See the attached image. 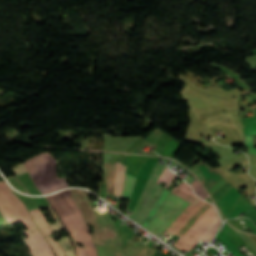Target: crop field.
Returning a JSON list of instances; mask_svg holds the SVG:
<instances>
[{"label": "crop field", "instance_id": "1", "mask_svg": "<svg viewBox=\"0 0 256 256\" xmlns=\"http://www.w3.org/2000/svg\"><path fill=\"white\" fill-rule=\"evenodd\" d=\"M171 192L191 202L182 214L167 229L181 238L174 244L182 250H191L204 233L219 218L213 205L197 198L187 183H182ZM221 225L220 219L205 233L201 240L210 242Z\"/></svg>", "mask_w": 256, "mask_h": 256}, {"label": "crop field", "instance_id": "2", "mask_svg": "<svg viewBox=\"0 0 256 256\" xmlns=\"http://www.w3.org/2000/svg\"><path fill=\"white\" fill-rule=\"evenodd\" d=\"M0 210L11 224L22 222L28 230L36 228L26 206L4 182H0ZM25 232L34 256H54L38 228Z\"/></svg>", "mask_w": 256, "mask_h": 256}, {"label": "crop field", "instance_id": "3", "mask_svg": "<svg viewBox=\"0 0 256 256\" xmlns=\"http://www.w3.org/2000/svg\"><path fill=\"white\" fill-rule=\"evenodd\" d=\"M47 199L58 215L80 209L78 204L73 199L70 190H65L55 195L47 196ZM60 218L73 239L90 235L88 226L85 223L80 210L60 215Z\"/></svg>", "mask_w": 256, "mask_h": 256}, {"label": "crop field", "instance_id": "4", "mask_svg": "<svg viewBox=\"0 0 256 256\" xmlns=\"http://www.w3.org/2000/svg\"><path fill=\"white\" fill-rule=\"evenodd\" d=\"M24 164L42 194L68 187L65 179L56 177V164L48 153L29 159Z\"/></svg>", "mask_w": 256, "mask_h": 256}, {"label": "crop field", "instance_id": "5", "mask_svg": "<svg viewBox=\"0 0 256 256\" xmlns=\"http://www.w3.org/2000/svg\"><path fill=\"white\" fill-rule=\"evenodd\" d=\"M178 197L170 192L159 211L147 226V229L156 234L158 237L189 205L188 202L180 199L181 197Z\"/></svg>", "mask_w": 256, "mask_h": 256}, {"label": "crop field", "instance_id": "6", "mask_svg": "<svg viewBox=\"0 0 256 256\" xmlns=\"http://www.w3.org/2000/svg\"><path fill=\"white\" fill-rule=\"evenodd\" d=\"M165 165L160 166L156 165L139 201L138 204L131 216V219L135 220L140 225L142 224L145 216L149 212L157 194L161 190L162 187L156 185V181L165 169Z\"/></svg>", "mask_w": 256, "mask_h": 256}, {"label": "crop field", "instance_id": "7", "mask_svg": "<svg viewBox=\"0 0 256 256\" xmlns=\"http://www.w3.org/2000/svg\"><path fill=\"white\" fill-rule=\"evenodd\" d=\"M30 213H31L33 219L35 220V222L37 223L39 229L41 230L43 236L51 235V234H52V231H51V229H50V227H49V225H48L46 219L44 218V216H43L41 210L32 211V212H30ZM41 223H44V224H45V226L48 228V230L50 231L51 234H47V233H49V231L46 229V227H45L44 224H43L44 228H45L46 231H47V233H46V231H45V229L43 228V226H42ZM46 239H47L48 242L51 244V246H52V248L54 249V251L56 252L57 256H64V254H63L61 248L59 247L58 243L55 242L51 236L46 237Z\"/></svg>", "mask_w": 256, "mask_h": 256}, {"label": "crop field", "instance_id": "8", "mask_svg": "<svg viewBox=\"0 0 256 256\" xmlns=\"http://www.w3.org/2000/svg\"><path fill=\"white\" fill-rule=\"evenodd\" d=\"M125 168L126 166L116 161L115 168V196L120 198L121 190L125 178Z\"/></svg>", "mask_w": 256, "mask_h": 256}, {"label": "crop field", "instance_id": "9", "mask_svg": "<svg viewBox=\"0 0 256 256\" xmlns=\"http://www.w3.org/2000/svg\"><path fill=\"white\" fill-rule=\"evenodd\" d=\"M169 194V191L165 190L162 188L159 196L157 197L151 211L149 212L148 216L146 217L144 223L141 225L143 227L146 228V226L148 225V223L150 222V220L153 218V216L155 215L156 211L158 210V208L160 207V205L162 204V202L164 201V199L166 198V196Z\"/></svg>", "mask_w": 256, "mask_h": 256}, {"label": "crop field", "instance_id": "10", "mask_svg": "<svg viewBox=\"0 0 256 256\" xmlns=\"http://www.w3.org/2000/svg\"><path fill=\"white\" fill-rule=\"evenodd\" d=\"M135 178V176L127 174L123 190V198H130Z\"/></svg>", "mask_w": 256, "mask_h": 256}, {"label": "crop field", "instance_id": "11", "mask_svg": "<svg viewBox=\"0 0 256 256\" xmlns=\"http://www.w3.org/2000/svg\"><path fill=\"white\" fill-rule=\"evenodd\" d=\"M59 242H60L66 256H76L75 251L73 249V246H72L68 236L62 237ZM68 246L71 247V249L68 250L67 249Z\"/></svg>", "mask_w": 256, "mask_h": 256}, {"label": "crop field", "instance_id": "12", "mask_svg": "<svg viewBox=\"0 0 256 256\" xmlns=\"http://www.w3.org/2000/svg\"><path fill=\"white\" fill-rule=\"evenodd\" d=\"M175 174H173L172 172H170L167 167L166 169L164 170V172L162 173V175L160 176L159 180H158V184L163 181L165 183H167L165 185V188H167L169 186V184L174 180L175 178Z\"/></svg>", "mask_w": 256, "mask_h": 256}, {"label": "crop field", "instance_id": "13", "mask_svg": "<svg viewBox=\"0 0 256 256\" xmlns=\"http://www.w3.org/2000/svg\"><path fill=\"white\" fill-rule=\"evenodd\" d=\"M193 189L194 192L202 199H204L205 197H207L208 195L206 194L205 190L203 189V187L199 184V182L195 179L191 184H190Z\"/></svg>", "mask_w": 256, "mask_h": 256}, {"label": "crop field", "instance_id": "14", "mask_svg": "<svg viewBox=\"0 0 256 256\" xmlns=\"http://www.w3.org/2000/svg\"><path fill=\"white\" fill-rule=\"evenodd\" d=\"M7 180L10 182L12 186L19 189L21 192L28 193L25 187L20 183V181L16 178V176L8 177Z\"/></svg>", "mask_w": 256, "mask_h": 256}, {"label": "crop field", "instance_id": "15", "mask_svg": "<svg viewBox=\"0 0 256 256\" xmlns=\"http://www.w3.org/2000/svg\"><path fill=\"white\" fill-rule=\"evenodd\" d=\"M48 209H49L50 213L52 214L53 218L57 221V222L54 223L53 225H50L51 229H52L54 232L64 229L63 226L61 225V223L59 222V220L57 219L55 213L53 212V210L51 209L50 206H49Z\"/></svg>", "mask_w": 256, "mask_h": 256}, {"label": "crop field", "instance_id": "16", "mask_svg": "<svg viewBox=\"0 0 256 256\" xmlns=\"http://www.w3.org/2000/svg\"><path fill=\"white\" fill-rule=\"evenodd\" d=\"M245 143L248 146V152L256 155V149L252 148V136H245Z\"/></svg>", "mask_w": 256, "mask_h": 256}, {"label": "crop field", "instance_id": "17", "mask_svg": "<svg viewBox=\"0 0 256 256\" xmlns=\"http://www.w3.org/2000/svg\"><path fill=\"white\" fill-rule=\"evenodd\" d=\"M155 250L147 247L145 245V247L142 249V251L140 252V254L138 256H152L154 254Z\"/></svg>", "mask_w": 256, "mask_h": 256}, {"label": "crop field", "instance_id": "18", "mask_svg": "<svg viewBox=\"0 0 256 256\" xmlns=\"http://www.w3.org/2000/svg\"><path fill=\"white\" fill-rule=\"evenodd\" d=\"M12 169H13V171H14L15 175H17V174H20V173H23V172H26V171H27V170H26V168H25V166L23 165V163L19 164L17 167L12 168Z\"/></svg>", "mask_w": 256, "mask_h": 256}, {"label": "crop field", "instance_id": "19", "mask_svg": "<svg viewBox=\"0 0 256 256\" xmlns=\"http://www.w3.org/2000/svg\"><path fill=\"white\" fill-rule=\"evenodd\" d=\"M72 243L74 246H76L75 250L77 253V256H86L84 248H80L72 239H71Z\"/></svg>", "mask_w": 256, "mask_h": 256}, {"label": "crop field", "instance_id": "20", "mask_svg": "<svg viewBox=\"0 0 256 256\" xmlns=\"http://www.w3.org/2000/svg\"><path fill=\"white\" fill-rule=\"evenodd\" d=\"M6 220L4 219V217L1 215L0 213V222H5Z\"/></svg>", "mask_w": 256, "mask_h": 256}]
</instances>
